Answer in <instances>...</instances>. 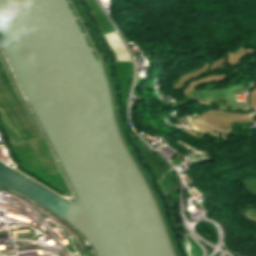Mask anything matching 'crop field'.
<instances>
[{"mask_svg":"<svg viewBox=\"0 0 256 256\" xmlns=\"http://www.w3.org/2000/svg\"><path fill=\"white\" fill-rule=\"evenodd\" d=\"M105 37L111 48L116 53L117 61H130L128 53L116 33L105 34Z\"/></svg>","mask_w":256,"mask_h":256,"instance_id":"crop-field-1","label":"crop field"}]
</instances>
